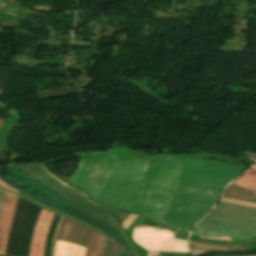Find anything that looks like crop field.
Masks as SVG:
<instances>
[{
  "mask_svg": "<svg viewBox=\"0 0 256 256\" xmlns=\"http://www.w3.org/2000/svg\"><path fill=\"white\" fill-rule=\"evenodd\" d=\"M115 160L84 157L68 182L109 207L190 230L215 203L227 183L246 167L180 156Z\"/></svg>",
  "mask_w": 256,
  "mask_h": 256,
  "instance_id": "1",
  "label": "crop field"
},
{
  "mask_svg": "<svg viewBox=\"0 0 256 256\" xmlns=\"http://www.w3.org/2000/svg\"><path fill=\"white\" fill-rule=\"evenodd\" d=\"M17 167L111 230L128 249L123 256H139L137 251L131 246L127 238L118 228L111 214L112 209L105 208L92 202L84 193L61 182L60 179H57L50 174L43 164H26ZM112 211L115 212L123 221L128 216L127 213L121 211Z\"/></svg>",
  "mask_w": 256,
  "mask_h": 256,
  "instance_id": "2",
  "label": "crop field"
},
{
  "mask_svg": "<svg viewBox=\"0 0 256 256\" xmlns=\"http://www.w3.org/2000/svg\"><path fill=\"white\" fill-rule=\"evenodd\" d=\"M193 234L203 237H256V208L220 202Z\"/></svg>",
  "mask_w": 256,
  "mask_h": 256,
  "instance_id": "3",
  "label": "crop field"
},
{
  "mask_svg": "<svg viewBox=\"0 0 256 256\" xmlns=\"http://www.w3.org/2000/svg\"><path fill=\"white\" fill-rule=\"evenodd\" d=\"M91 231L64 219L57 237L54 256H84Z\"/></svg>",
  "mask_w": 256,
  "mask_h": 256,
  "instance_id": "4",
  "label": "crop field"
},
{
  "mask_svg": "<svg viewBox=\"0 0 256 256\" xmlns=\"http://www.w3.org/2000/svg\"><path fill=\"white\" fill-rule=\"evenodd\" d=\"M133 240L148 251L188 252L186 241L174 239L173 234L169 231L135 228Z\"/></svg>",
  "mask_w": 256,
  "mask_h": 256,
  "instance_id": "5",
  "label": "crop field"
},
{
  "mask_svg": "<svg viewBox=\"0 0 256 256\" xmlns=\"http://www.w3.org/2000/svg\"><path fill=\"white\" fill-rule=\"evenodd\" d=\"M124 250L125 248L122 245L93 230L87 246L86 256H118Z\"/></svg>",
  "mask_w": 256,
  "mask_h": 256,
  "instance_id": "6",
  "label": "crop field"
},
{
  "mask_svg": "<svg viewBox=\"0 0 256 256\" xmlns=\"http://www.w3.org/2000/svg\"><path fill=\"white\" fill-rule=\"evenodd\" d=\"M53 215L51 212L42 210L34 229L29 256H43L45 238Z\"/></svg>",
  "mask_w": 256,
  "mask_h": 256,
  "instance_id": "7",
  "label": "crop field"
},
{
  "mask_svg": "<svg viewBox=\"0 0 256 256\" xmlns=\"http://www.w3.org/2000/svg\"><path fill=\"white\" fill-rule=\"evenodd\" d=\"M18 196L6 191L0 216V253L4 254Z\"/></svg>",
  "mask_w": 256,
  "mask_h": 256,
  "instance_id": "8",
  "label": "crop field"
},
{
  "mask_svg": "<svg viewBox=\"0 0 256 256\" xmlns=\"http://www.w3.org/2000/svg\"><path fill=\"white\" fill-rule=\"evenodd\" d=\"M0 188H2V187H0ZM2 189H4V188H2ZM8 191H9V190H8ZM10 192H12V191H10ZM13 193H14V192H13ZM15 194H16V193H15ZM17 195L21 196L22 198H24V199H26V200H28V201H30V202H32V203H34V204L40 206V207H42V208H44V209H46V210H49V211H52V212L57 213V214H59V215H62V216H64V217H67V218H69V219H71V220H73V221H75V222H78V223H80V224H82V225H85V226H87V227H90V228H92V229H95V230H97V231H99V232L105 233V234H107L109 237L113 238L111 235H109V234L106 233L105 231H103V230H101V229H98V228H96V227H94V226H92V225H90V224H88V223H86V222H84V221H82V220H80V219H78V218L72 216V215H69V214H67V213L60 212V211H58V210H55V209H53V208H51V207H49V206H47V205H45V204H43V203L37 201V200H35V199L29 197L28 195H26V194H24V193L19 192ZM113 239H114V238H113ZM114 240H115V239H114ZM115 241H117V240H115Z\"/></svg>",
  "mask_w": 256,
  "mask_h": 256,
  "instance_id": "9",
  "label": "crop field"
},
{
  "mask_svg": "<svg viewBox=\"0 0 256 256\" xmlns=\"http://www.w3.org/2000/svg\"><path fill=\"white\" fill-rule=\"evenodd\" d=\"M189 245H190V249L193 251L194 255H201L203 253H206V252H209L212 250H220V251L238 250V248H229V247L196 245V244H189Z\"/></svg>",
  "mask_w": 256,
  "mask_h": 256,
  "instance_id": "10",
  "label": "crop field"
},
{
  "mask_svg": "<svg viewBox=\"0 0 256 256\" xmlns=\"http://www.w3.org/2000/svg\"><path fill=\"white\" fill-rule=\"evenodd\" d=\"M233 184L243 186L256 191V177L244 173Z\"/></svg>",
  "mask_w": 256,
  "mask_h": 256,
  "instance_id": "11",
  "label": "crop field"
},
{
  "mask_svg": "<svg viewBox=\"0 0 256 256\" xmlns=\"http://www.w3.org/2000/svg\"><path fill=\"white\" fill-rule=\"evenodd\" d=\"M0 186H3V187H5V188H7V189L16 191V190L12 189L11 187H9L8 185H6L1 179H0ZM16 192H18V191H16Z\"/></svg>",
  "mask_w": 256,
  "mask_h": 256,
  "instance_id": "12",
  "label": "crop field"
},
{
  "mask_svg": "<svg viewBox=\"0 0 256 256\" xmlns=\"http://www.w3.org/2000/svg\"><path fill=\"white\" fill-rule=\"evenodd\" d=\"M189 243H196V244H209V245H220V244L201 243V242H192V241H189ZM221 246H227V245H221ZM231 247H233V246H231Z\"/></svg>",
  "mask_w": 256,
  "mask_h": 256,
  "instance_id": "13",
  "label": "crop field"
},
{
  "mask_svg": "<svg viewBox=\"0 0 256 256\" xmlns=\"http://www.w3.org/2000/svg\"><path fill=\"white\" fill-rule=\"evenodd\" d=\"M246 173L252 174L256 176V170L250 169Z\"/></svg>",
  "mask_w": 256,
  "mask_h": 256,
  "instance_id": "14",
  "label": "crop field"
},
{
  "mask_svg": "<svg viewBox=\"0 0 256 256\" xmlns=\"http://www.w3.org/2000/svg\"><path fill=\"white\" fill-rule=\"evenodd\" d=\"M1 123H2V120L0 119V125H1Z\"/></svg>",
  "mask_w": 256,
  "mask_h": 256,
  "instance_id": "15",
  "label": "crop field"
}]
</instances>
